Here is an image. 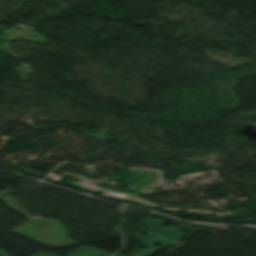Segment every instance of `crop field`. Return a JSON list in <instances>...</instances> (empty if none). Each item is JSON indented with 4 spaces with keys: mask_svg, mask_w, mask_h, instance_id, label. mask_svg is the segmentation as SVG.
I'll list each match as a JSON object with an SVG mask.
<instances>
[{
    "mask_svg": "<svg viewBox=\"0 0 256 256\" xmlns=\"http://www.w3.org/2000/svg\"><path fill=\"white\" fill-rule=\"evenodd\" d=\"M164 224V221L148 218L144 226L149 230L141 238L147 247L133 256H151L168 246L178 245L184 233L170 226L162 228ZM169 239L172 240L168 241ZM157 242L162 243L160 247L153 246Z\"/></svg>",
    "mask_w": 256,
    "mask_h": 256,
    "instance_id": "obj_1",
    "label": "crop field"
},
{
    "mask_svg": "<svg viewBox=\"0 0 256 256\" xmlns=\"http://www.w3.org/2000/svg\"><path fill=\"white\" fill-rule=\"evenodd\" d=\"M111 254L112 253L110 252H107L98 248H94L88 245H84L83 247H81L80 249L76 250L75 252H73L68 256H109ZM35 256H58V255L39 252Z\"/></svg>",
    "mask_w": 256,
    "mask_h": 256,
    "instance_id": "obj_2",
    "label": "crop field"
},
{
    "mask_svg": "<svg viewBox=\"0 0 256 256\" xmlns=\"http://www.w3.org/2000/svg\"><path fill=\"white\" fill-rule=\"evenodd\" d=\"M0 256H9L2 248H0Z\"/></svg>",
    "mask_w": 256,
    "mask_h": 256,
    "instance_id": "obj_3",
    "label": "crop field"
}]
</instances>
